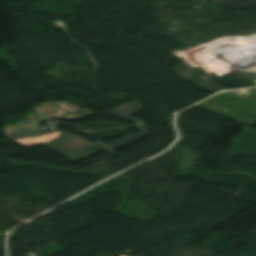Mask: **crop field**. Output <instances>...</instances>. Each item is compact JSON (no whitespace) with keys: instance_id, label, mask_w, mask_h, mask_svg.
Masks as SVG:
<instances>
[{"instance_id":"1","label":"crop field","mask_w":256,"mask_h":256,"mask_svg":"<svg viewBox=\"0 0 256 256\" xmlns=\"http://www.w3.org/2000/svg\"><path fill=\"white\" fill-rule=\"evenodd\" d=\"M28 117L33 120L22 121L15 125H6L3 130L6 131L7 135L25 147L44 144L74 162H79L102 150L112 155L117 154L114 151L150 135L148 128L145 125H141L138 126L142 131L141 133L135 136L127 135L105 146L101 143L92 144L86 142L65 131L48 130L45 133L39 124L47 120L46 118L38 119L32 115Z\"/></svg>"},{"instance_id":"3","label":"crop field","mask_w":256,"mask_h":256,"mask_svg":"<svg viewBox=\"0 0 256 256\" xmlns=\"http://www.w3.org/2000/svg\"><path fill=\"white\" fill-rule=\"evenodd\" d=\"M31 110L48 113L45 116L49 119L56 118L67 121L81 119L94 114L87 109H81L68 102L42 103L36 107L31 108Z\"/></svg>"},{"instance_id":"4","label":"crop field","mask_w":256,"mask_h":256,"mask_svg":"<svg viewBox=\"0 0 256 256\" xmlns=\"http://www.w3.org/2000/svg\"><path fill=\"white\" fill-rule=\"evenodd\" d=\"M105 110V109H104ZM142 107H141V103L140 101L136 100L130 104H127L113 112L109 111V114L115 115L117 117L123 118V119H127V120H131L134 121L136 123H142V121L132 118L130 117L131 115H134L140 111H142Z\"/></svg>"},{"instance_id":"2","label":"crop field","mask_w":256,"mask_h":256,"mask_svg":"<svg viewBox=\"0 0 256 256\" xmlns=\"http://www.w3.org/2000/svg\"><path fill=\"white\" fill-rule=\"evenodd\" d=\"M199 105L247 125L256 122V88L222 93Z\"/></svg>"}]
</instances>
